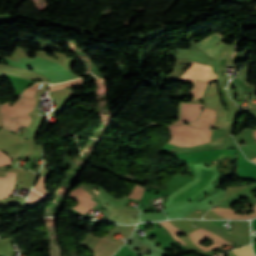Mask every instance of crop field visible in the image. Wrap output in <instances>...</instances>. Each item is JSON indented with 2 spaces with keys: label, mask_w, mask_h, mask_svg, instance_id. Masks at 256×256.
I'll list each match as a JSON object with an SVG mask.
<instances>
[{
  "label": "crop field",
  "mask_w": 256,
  "mask_h": 256,
  "mask_svg": "<svg viewBox=\"0 0 256 256\" xmlns=\"http://www.w3.org/2000/svg\"><path fill=\"white\" fill-rule=\"evenodd\" d=\"M214 122H215V111L204 108V111L201 114L199 120L195 122H190L189 124L198 126L200 128L210 129V127L214 126Z\"/></svg>",
  "instance_id": "10"
},
{
  "label": "crop field",
  "mask_w": 256,
  "mask_h": 256,
  "mask_svg": "<svg viewBox=\"0 0 256 256\" xmlns=\"http://www.w3.org/2000/svg\"><path fill=\"white\" fill-rule=\"evenodd\" d=\"M192 63V66L183 74L181 78L179 77L178 79L192 82H195L197 79L207 82L215 80L216 75L212 72L211 67L195 62Z\"/></svg>",
  "instance_id": "4"
},
{
  "label": "crop field",
  "mask_w": 256,
  "mask_h": 256,
  "mask_svg": "<svg viewBox=\"0 0 256 256\" xmlns=\"http://www.w3.org/2000/svg\"><path fill=\"white\" fill-rule=\"evenodd\" d=\"M233 251V250H232ZM234 251L239 255V256H254L252 251H251V245L249 246H245V247H242V248H238V249H234ZM233 251V252H234ZM234 252V253H235ZM235 253V254H236ZM236 254V255H237ZM237 255V256H238Z\"/></svg>",
  "instance_id": "16"
},
{
  "label": "crop field",
  "mask_w": 256,
  "mask_h": 256,
  "mask_svg": "<svg viewBox=\"0 0 256 256\" xmlns=\"http://www.w3.org/2000/svg\"><path fill=\"white\" fill-rule=\"evenodd\" d=\"M15 177V172H7L6 178H0V198H8L11 196Z\"/></svg>",
  "instance_id": "9"
},
{
  "label": "crop field",
  "mask_w": 256,
  "mask_h": 256,
  "mask_svg": "<svg viewBox=\"0 0 256 256\" xmlns=\"http://www.w3.org/2000/svg\"><path fill=\"white\" fill-rule=\"evenodd\" d=\"M38 86L39 83L26 89L13 106H9V103L1 105L4 128L15 132L18 127L30 124L31 117L28 113L34 109L36 98L33 96Z\"/></svg>",
  "instance_id": "1"
},
{
  "label": "crop field",
  "mask_w": 256,
  "mask_h": 256,
  "mask_svg": "<svg viewBox=\"0 0 256 256\" xmlns=\"http://www.w3.org/2000/svg\"><path fill=\"white\" fill-rule=\"evenodd\" d=\"M46 180V177H40L26 205L36 206L47 199L50 193L46 187Z\"/></svg>",
  "instance_id": "6"
},
{
  "label": "crop field",
  "mask_w": 256,
  "mask_h": 256,
  "mask_svg": "<svg viewBox=\"0 0 256 256\" xmlns=\"http://www.w3.org/2000/svg\"><path fill=\"white\" fill-rule=\"evenodd\" d=\"M222 35L221 34H212L209 37L199 41L197 43V45L205 52L209 53L212 57H214V55L217 53V51L219 50V48L222 46ZM221 42V43H219ZM218 44V46L216 47V44ZM208 54V55H209Z\"/></svg>",
  "instance_id": "7"
},
{
  "label": "crop field",
  "mask_w": 256,
  "mask_h": 256,
  "mask_svg": "<svg viewBox=\"0 0 256 256\" xmlns=\"http://www.w3.org/2000/svg\"><path fill=\"white\" fill-rule=\"evenodd\" d=\"M74 85H83V81L81 79H78V80H74V81H70L62 84L51 85L50 91L58 90V89H62V88L74 86Z\"/></svg>",
  "instance_id": "14"
},
{
  "label": "crop field",
  "mask_w": 256,
  "mask_h": 256,
  "mask_svg": "<svg viewBox=\"0 0 256 256\" xmlns=\"http://www.w3.org/2000/svg\"><path fill=\"white\" fill-rule=\"evenodd\" d=\"M252 209H253L254 212L251 213V214H248V215L236 214L234 212V210H232V209L215 208V209H211V210L216 212L220 216L225 217V218L248 219V218H252V217L256 216V204Z\"/></svg>",
  "instance_id": "11"
},
{
  "label": "crop field",
  "mask_w": 256,
  "mask_h": 256,
  "mask_svg": "<svg viewBox=\"0 0 256 256\" xmlns=\"http://www.w3.org/2000/svg\"><path fill=\"white\" fill-rule=\"evenodd\" d=\"M172 140L169 142L178 146H195L210 141L212 130H204L185 124L168 126Z\"/></svg>",
  "instance_id": "3"
},
{
  "label": "crop field",
  "mask_w": 256,
  "mask_h": 256,
  "mask_svg": "<svg viewBox=\"0 0 256 256\" xmlns=\"http://www.w3.org/2000/svg\"><path fill=\"white\" fill-rule=\"evenodd\" d=\"M203 105L182 103L181 118L177 123L192 121L198 118Z\"/></svg>",
  "instance_id": "8"
},
{
  "label": "crop field",
  "mask_w": 256,
  "mask_h": 256,
  "mask_svg": "<svg viewBox=\"0 0 256 256\" xmlns=\"http://www.w3.org/2000/svg\"><path fill=\"white\" fill-rule=\"evenodd\" d=\"M252 161L256 162V158H254Z\"/></svg>",
  "instance_id": "20"
},
{
  "label": "crop field",
  "mask_w": 256,
  "mask_h": 256,
  "mask_svg": "<svg viewBox=\"0 0 256 256\" xmlns=\"http://www.w3.org/2000/svg\"><path fill=\"white\" fill-rule=\"evenodd\" d=\"M188 235H189L191 241L193 242V244L199 246L200 248H202L205 251H209V250H212V249H215V248H218V247H221V246H224V245L230 243V242H227V241L223 240L222 238L216 236L217 234L215 235L214 233L206 231L202 228H198V229L188 233ZM209 237L211 239H213L216 243L211 244L207 247L199 244L200 242L204 241L205 239H207Z\"/></svg>",
  "instance_id": "5"
},
{
  "label": "crop field",
  "mask_w": 256,
  "mask_h": 256,
  "mask_svg": "<svg viewBox=\"0 0 256 256\" xmlns=\"http://www.w3.org/2000/svg\"><path fill=\"white\" fill-rule=\"evenodd\" d=\"M144 190H145V189H142V188L139 187V185H136V184H135L134 187H133V189H132V191H131V192H133V193H130V194L128 195V197H129V198H134V199L140 200L141 197H142V194H143Z\"/></svg>",
  "instance_id": "15"
},
{
  "label": "crop field",
  "mask_w": 256,
  "mask_h": 256,
  "mask_svg": "<svg viewBox=\"0 0 256 256\" xmlns=\"http://www.w3.org/2000/svg\"><path fill=\"white\" fill-rule=\"evenodd\" d=\"M11 159L0 151V165H10Z\"/></svg>",
  "instance_id": "17"
},
{
  "label": "crop field",
  "mask_w": 256,
  "mask_h": 256,
  "mask_svg": "<svg viewBox=\"0 0 256 256\" xmlns=\"http://www.w3.org/2000/svg\"><path fill=\"white\" fill-rule=\"evenodd\" d=\"M233 82H235L236 84L241 86L242 89H244L246 92H249V88H250L249 84H246V83L242 82L241 80H239L237 78Z\"/></svg>",
  "instance_id": "18"
},
{
  "label": "crop field",
  "mask_w": 256,
  "mask_h": 256,
  "mask_svg": "<svg viewBox=\"0 0 256 256\" xmlns=\"http://www.w3.org/2000/svg\"><path fill=\"white\" fill-rule=\"evenodd\" d=\"M253 135H254L255 140H256V130L253 131Z\"/></svg>",
  "instance_id": "19"
},
{
  "label": "crop field",
  "mask_w": 256,
  "mask_h": 256,
  "mask_svg": "<svg viewBox=\"0 0 256 256\" xmlns=\"http://www.w3.org/2000/svg\"><path fill=\"white\" fill-rule=\"evenodd\" d=\"M3 62L35 70L47 76L51 84L60 83L77 78L74 74L68 72L66 68L38 57L34 60L20 58L19 62L11 61L4 58Z\"/></svg>",
  "instance_id": "2"
},
{
  "label": "crop field",
  "mask_w": 256,
  "mask_h": 256,
  "mask_svg": "<svg viewBox=\"0 0 256 256\" xmlns=\"http://www.w3.org/2000/svg\"><path fill=\"white\" fill-rule=\"evenodd\" d=\"M206 85H207V82L197 80V82L192 87V89L189 93L190 95H193V99L190 101H193V100L203 96V92H204Z\"/></svg>",
  "instance_id": "12"
},
{
  "label": "crop field",
  "mask_w": 256,
  "mask_h": 256,
  "mask_svg": "<svg viewBox=\"0 0 256 256\" xmlns=\"http://www.w3.org/2000/svg\"><path fill=\"white\" fill-rule=\"evenodd\" d=\"M171 234V236L180 244H182L183 246L186 245L187 243H185L183 240H181L180 238L177 237L176 234L182 232L179 229L175 228L170 222H164L161 223Z\"/></svg>",
  "instance_id": "13"
}]
</instances>
